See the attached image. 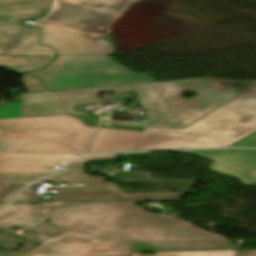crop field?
Masks as SVG:
<instances>
[{"mask_svg":"<svg viewBox=\"0 0 256 256\" xmlns=\"http://www.w3.org/2000/svg\"><path fill=\"white\" fill-rule=\"evenodd\" d=\"M73 156H0V173H51Z\"/></svg>","mask_w":256,"mask_h":256,"instance_id":"obj_12","label":"crop field"},{"mask_svg":"<svg viewBox=\"0 0 256 256\" xmlns=\"http://www.w3.org/2000/svg\"><path fill=\"white\" fill-rule=\"evenodd\" d=\"M81 203L50 205H14L0 212V222L37 223Z\"/></svg>","mask_w":256,"mask_h":256,"instance_id":"obj_13","label":"crop field"},{"mask_svg":"<svg viewBox=\"0 0 256 256\" xmlns=\"http://www.w3.org/2000/svg\"><path fill=\"white\" fill-rule=\"evenodd\" d=\"M22 81L24 82V84L27 86V88L29 89V91L31 93L34 92H43V91H51L49 89L44 88L41 84H40V80L39 78L36 77H32V76H28L23 74V78Z\"/></svg>","mask_w":256,"mask_h":256,"instance_id":"obj_23","label":"crop field"},{"mask_svg":"<svg viewBox=\"0 0 256 256\" xmlns=\"http://www.w3.org/2000/svg\"><path fill=\"white\" fill-rule=\"evenodd\" d=\"M9 184H0V194L6 189ZM2 206V205H0Z\"/></svg>","mask_w":256,"mask_h":256,"instance_id":"obj_33","label":"crop field"},{"mask_svg":"<svg viewBox=\"0 0 256 256\" xmlns=\"http://www.w3.org/2000/svg\"><path fill=\"white\" fill-rule=\"evenodd\" d=\"M26 184H10L7 189L0 195V204L7 203L11 197Z\"/></svg>","mask_w":256,"mask_h":256,"instance_id":"obj_26","label":"crop field"},{"mask_svg":"<svg viewBox=\"0 0 256 256\" xmlns=\"http://www.w3.org/2000/svg\"><path fill=\"white\" fill-rule=\"evenodd\" d=\"M41 184H35L27 189H25L21 194H19L11 204H20V203H32L37 202L38 198L35 197L37 189Z\"/></svg>","mask_w":256,"mask_h":256,"instance_id":"obj_22","label":"crop field"},{"mask_svg":"<svg viewBox=\"0 0 256 256\" xmlns=\"http://www.w3.org/2000/svg\"><path fill=\"white\" fill-rule=\"evenodd\" d=\"M82 120L90 121L93 123H99L98 117H95L93 115H86V116H79Z\"/></svg>","mask_w":256,"mask_h":256,"instance_id":"obj_29","label":"crop field"},{"mask_svg":"<svg viewBox=\"0 0 256 256\" xmlns=\"http://www.w3.org/2000/svg\"><path fill=\"white\" fill-rule=\"evenodd\" d=\"M255 85L256 81L232 82L206 77L182 81L26 94L21 95L23 99L22 116L59 113L86 114L76 113L73 109L75 106L100 101L97 95L101 92L137 90L140 102L143 108H149L148 116L151 118L143 122L141 127L184 129ZM180 92H195L201 95L183 101Z\"/></svg>","mask_w":256,"mask_h":256,"instance_id":"obj_1","label":"crop field"},{"mask_svg":"<svg viewBox=\"0 0 256 256\" xmlns=\"http://www.w3.org/2000/svg\"><path fill=\"white\" fill-rule=\"evenodd\" d=\"M0 67H4V66H0ZM5 69L9 70V71H12L14 68H11V67H4Z\"/></svg>","mask_w":256,"mask_h":256,"instance_id":"obj_36","label":"crop field"},{"mask_svg":"<svg viewBox=\"0 0 256 256\" xmlns=\"http://www.w3.org/2000/svg\"><path fill=\"white\" fill-rule=\"evenodd\" d=\"M133 0H55L46 20L88 33L102 22L117 17Z\"/></svg>","mask_w":256,"mask_h":256,"instance_id":"obj_6","label":"crop field"},{"mask_svg":"<svg viewBox=\"0 0 256 256\" xmlns=\"http://www.w3.org/2000/svg\"><path fill=\"white\" fill-rule=\"evenodd\" d=\"M96 129L70 115L0 119V154L82 155Z\"/></svg>","mask_w":256,"mask_h":256,"instance_id":"obj_4","label":"crop field"},{"mask_svg":"<svg viewBox=\"0 0 256 256\" xmlns=\"http://www.w3.org/2000/svg\"><path fill=\"white\" fill-rule=\"evenodd\" d=\"M27 230L31 233L27 237H25L26 240H31L33 242L41 244L44 241L67 231L68 229L59 227L51 223L43 222L36 226L29 227Z\"/></svg>","mask_w":256,"mask_h":256,"instance_id":"obj_17","label":"crop field"},{"mask_svg":"<svg viewBox=\"0 0 256 256\" xmlns=\"http://www.w3.org/2000/svg\"><path fill=\"white\" fill-rule=\"evenodd\" d=\"M25 57H0V65L16 67Z\"/></svg>","mask_w":256,"mask_h":256,"instance_id":"obj_27","label":"crop field"},{"mask_svg":"<svg viewBox=\"0 0 256 256\" xmlns=\"http://www.w3.org/2000/svg\"><path fill=\"white\" fill-rule=\"evenodd\" d=\"M47 68L27 73L41 77L54 90L154 82L144 73H133L108 56H57Z\"/></svg>","mask_w":256,"mask_h":256,"instance_id":"obj_5","label":"crop field"},{"mask_svg":"<svg viewBox=\"0 0 256 256\" xmlns=\"http://www.w3.org/2000/svg\"><path fill=\"white\" fill-rule=\"evenodd\" d=\"M20 117V103H10L0 108V118Z\"/></svg>","mask_w":256,"mask_h":256,"instance_id":"obj_24","label":"crop field"},{"mask_svg":"<svg viewBox=\"0 0 256 256\" xmlns=\"http://www.w3.org/2000/svg\"><path fill=\"white\" fill-rule=\"evenodd\" d=\"M55 54L49 47L39 46L38 32L34 28L24 36L6 55Z\"/></svg>","mask_w":256,"mask_h":256,"instance_id":"obj_16","label":"crop field"},{"mask_svg":"<svg viewBox=\"0 0 256 256\" xmlns=\"http://www.w3.org/2000/svg\"><path fill=\"white\" fill-rule=\"evenodd\" d=\"M248 174H250L252 177H254L256 179V170H254V171H252V172H250Z\"/></svg>","mask_w":256,"mask_h":256,"instance_id":"obj_34","label":"crop field"},{"mask_svg":"<svg viewBox=\"0 0 256 256\" xmlns=\"http://www.w3.org/2000/svg\"><path fill=\"white\" fill-rule=\"evenodd\" d=\"M19 256H129V243L39 245Z\"/></svg>","mask_w":256,"mask_h":256,"instance_id":"obj_11","label":"crop field"},{"mask_svg":"<svg viewBox=\"0 0 256 256\" xmlns=\"http://www.w3.org/2000/svg\"><path fill=\"white\" fill-rule=\"evenodd\" d=\"M55 58V55L29 56L21 62L12 72L23 73L45 67Z\"/></svg>","mask_w":256,"mask_h":256,"instance_id":"obj_19","label":"crop field"},{"mask_svg":"<svg viewBox=\"0 0 256 256\" xmlns=\"http://www.w3.org/2000/svg\"><path fill=\"white\" fill-rule=\"evenodd\" d=\"M256 131V86L184 130L145 128L135 150L228 147Z\"/></svg>","mask_w":256,"mask_h":256,"instance_id":"obj_3","label":"crop field"},{"mask_svg":"<svg viewBox=\"0 0 256 256\" xmlns=\"http://www.w3.org/2000/svg\"><path fill=\"white\" fill-rule=\"evenodd\" d=\"M100 127H109V128H124V129H134V130H141L143 131L144 128H133V127H116V126H104L101 125Z\"/></svg>","mask_w":256,"mask_h":256,"instance_id":"obj_32","label":"crop field"},{"mask_svg":"<svg viewBox=\"0 0 256 256\" xmlns=\"http://www.w3.org/2000/svg\"><path fill=\"white\" fill-rule=\"evenodd\" d=\"M50 0L0 1V54L28 30L22 21L46 12Z\"/></svg>","mask_w":256,"mask_h":256,"instance_id":"obj_9","label":"crop field"},{"mask_svg":"<svg viewBox=\"0 0 256 256\" xmlns=\"http://www.w3.org/2000/svg\"><path fill=\"white\" fill-rule=\"evenodd\" d=\"M233 146H235V147H240V146L256 147V134L248 137L247 139H245Z\"/></svg>","mask_w":256,"mask_h":256,"instance_id":"obj_28","label":"crop field"},{"mask_svg":"<svg viewBox=\"0 0 256 256\" xmlns=\"http://www.w3.org/2000/svg\"><path fill=\"white\" fill-rule=\"evenodd\" d=\"M28 225H13V224H0V227H16V228H24Z\"/></svg>","mask_w":256,"mask_h":256,"instance_id":"obj_31","label":"crop field"},{"mask_svg":"<svg viewBox=\"0 0 256 256\" xmlns=\"http://www.w3.org/2000/svg\"><path fill=\"white\" fill-rule=\"evenodd\" d=\"M104 181L103 178H94L84 174V171H60L39 182H87Z\"/></svg>","mask_w":256,"mask_h":256,"instance_id":"obj_18","label":"crop field"},{"mask_svg":"<svg viewBox=\"0 0 256 256\" xmlns=\"http://www.w3.org/2000/svg\"><path fill=\"white\" fill-rule=\"evenodd\" d=\"M236 251L225 252H175V253H154V256H234ZM130 256H144L141 253L130 254Z\"/></svg>","mask_w":256,"mask_h":256,"instance_id":"obj_21","label":"crop field"},{"mask_svg":"<svg viewBox=\"0 0 256 256\" xmlns=\"http://www.w3.org/2000/svg\"><path fill=\"white\" fill-rule=\"evenodd\" d=\"M38 27H40L41 45L57 50L58 55L112 54V46L104 40L68 30L47 21Z\"/></svg>","mask_w":256,"mask_h":256,"instance_id":"obj_8","label":"crop field"},{"mask_svg":"<svg viewBox=\"0 0 256 256\" xmlns=\"http://www.w3.org/2000/svg\"><path fill=\"white\" fill-rule=\"evenodd\" d=\"M240 245H229L228 241H186V242H148L130 243V253L141 251H224L238 250Z\"/></svg>","mask_w":256,"mask_h":256,"instance_id":"obj_14","label":"crop field"},{"mask_svg":"<svg viewBox=\"0 0 256 256\" xmlns=\"http://www.w3.org/2000/svg\"><path fill=\"white\" fill-rule=\"evenodd\" d=\"M84 123H85L86 125H89V126H97L96 124L89 123V122H86V121H84Z\"/></svg>","mask_w":256,"mask_h":256,"instance_id":"obj_35","label":"crop field"},{"mask_svg":"<svg viewBox=\"0 0 256 256\" xmlns=\"http://www.w3.org/2000/svg\"><path fill=\"white\" fill-rule=\"evenodd\" d=\"M47 174H0V183H29Z\"/></svg>","mask_w":256,"mask_h":256,"instance_id":"obj_20","label":"crop field"},{"mask_svg":"<svg viewBox=\"0 0 256 256\" xmlns=\"http://www.w3.org/2000/svg\"><path fill=\"white\" fill-rule=\"evenodd\" d=\"M142 132L100 128L88 153L134 150Z\"/></svg>","mask_w":256,"mask_h":256,"instance_id":"obj_15","label":"crop field"},{"mask_svg":"<svg viewBox=\"0 0 256 256\" xmlns=\"http://www.w3.org/2000/svg\"><path fill=\"white\" fill-rule=\"evenodd\" d=\"M99 159H116V157H115V154L97 155V156L85 157V158H81L79 160H76V161L70 163L64 169H83L82 164L84 162L89 161V160H99Z\"/></svg>","mask_w":256,"mask_h":256,"instance_id":"obj_25","label":"crop field"},{"mask_svg":"<svg viewBox=\"0 0 256 256\" xmlns=\"http://www.w3.org/2000/svg\"><path fill=\"white\" fill-rule=\"evenodd\" d=\"M214 160L209 169L241 181L243 185H256V180L247 173L256 169V150H227L185 152Z\"/></svg>","mask_w":256,"mask_h":256,"instance_id":"obj_10","label":"crop field"},{"mask_svg":"<svg viewBox=\"0 0 256 256\" xmlns=\"http://www.w3.org/2000/svg\"><path fill=\"white\" fill-rule=\"evenodd\" d=\"M187 193L188 192L124 194L121 189L112 182L68 183V188H59L58 193L51 197L50 201L42 202V204L181 200Z\"/></svg>","mask_w":256,"mask_h":256,"instance_id":"obj_7","label":"crop field"},{"mask_svg":"<svg viewBox=\"0 0 256 256\" xmlns=\"http://www.w3.org/2000/svg\"><path fill=\"white\" fill-rule=\"evenodd\" d=\"M237 256H256V251H239Z\"/></svg>","mask_w":256,"mask_h":256,"instance_id":"obj_30","label":"crop field"},{"mask_svg":"<svg viewBox=\"0 0 256 256\" xmlns=\"http://www.w3.org/2000/svg\"><path fill=\"white\" fill-rule=\"evenodd\" d=\"M51 223L71 229L43 244L226 240L171 215L149 213L135 203L86 204Z\"/></svg>","mask_w":256,"mask_h":256,"instance_id":"obj_2","label":"crop field"}]
</instances>
